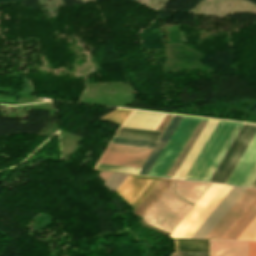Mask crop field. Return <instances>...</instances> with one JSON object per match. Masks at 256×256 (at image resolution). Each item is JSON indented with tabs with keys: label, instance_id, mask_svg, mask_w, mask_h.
Wrapping results in <instances>:
<instances>
[{
	"label": "crop field",
	"instance_id": "8a807250",
	"mask_svg": "<svg viewBox=\"0 0 256 256\" xmlns=\"http://www.w3.org/2000/svg\"><path fill=\"white\" fill-rule=\"evenodd\" d=\"M210 185L174 180L142 219L170 233Z\"/></svg>",
	"mask_w": 256,
	"mask_h": 256
},
{
	"label": "crop field",
	"instance_id": "ac0d7876",
	"mask_svg": "<svg viewBox=\"0 0 256 256\" xmlns=\"http://www.w3.org/2000/svg\"><path fill=\"white\" fill-rule=\"evenodd\" d=\"M200 120H205V119L183 117L180 124L176 128L175 132L171 136L170 140L166 144L165 148L161 152L160 156L156 160L155 164L151 168L148 175L169 177V176H165L166 173L168 172L169 168L175 161L176 157L182 150L183 146L189 139L190 135L192 134V132L194 131V129L196 128ZM206 123L207 121H200L197 128L191 135L190 139L184 146L183 150L177 157L176 161L170 168L167 175L174 176L175 172L179 168L180 164L184 160L185 156L189 152L190 148L194 144L195 140L199 136L200 132L202 131ZM169 178H172V177H169Z\"/></svg>",
	"mask_w": 256,
	"mask_h": 256
},
{
	"label": "crop field",
	"instance_id": "34b2d1b8",
	"mask_svg": "<svg viewBox=\"0 0 256 256\" xmlns=\"http://www.w3.org/2000/svg\"><path fill=\"white\" fill-rule=\"evenodd\" d=\"M241 126L219 121L185 179L207 182Z\"/></svg>",
	"mask_w": 256,
	"mask_h": 256
},
{
	"label": "crop field",
	"instance_id": "412701ff",
	"mask_svg": "<svg viewBox=\"0 0 256 256\" xmlns=\"http://www.w3.org/2000/svg\"><path fill=\"white\" fill-rule=\"evenodd\" d=\"M231 188L212 184L169 237L190 238Z\"/></svg>",
	"mask_w": 256,
	"mask_h": 256
},
{
	"label": "crop field",
	"instance_id": "f4fd0767",
	"mask_svg": "<svg viewBox=\"0 0 256 256\" xmlns=\"http://www.w3.org/2000/svg\"><path fill=\"white\" fill-rule=\"evenodd\" d=\"M151 149L108 144L98 163L141 168Z\"/></svg>",
	"mask_w": 256,
	"mask_h": 256
},
{
	"label": "crop field",
	"instance_id": "dd49c442",
	"mask_svg": "<svg viewBox=\"0 0 256 256\" xmlns=\"http://www.w3.org/2000/svg\"><path fill=\"white\" fill-rule=\"evenodd\" d=\"M160 178L128 175L115 191L136 208Z\"/></svg>",
	"mask_w": 256,
	"mask_h": 256
},
{
	"label": "crop field",
	"instance_id": "e52e79f7",
	"mask_svg": "<svg viewBox=\"0 0 256 256\" xmlns=\"http://www.w3.org/2000/svg\"><path fill=\"white\" fill-rule=\"evenodd\" d=\"M256 197V189L247 188L205 238L221 239Z\"/></svg>",
	"mask_w": 256,
	"mask_h": 256
},
{
	"label": "crop field",
	"instance_id": "d8731c3e",
	"mask_svg": "<svg viewBox=\"0 0 256 256\" xmlns=\"http://www.w3.org/2000/svg\"><path fill=\"white\" fill-rule=\"evenodd\" d=\"M246 188L233 187L191 238H204ZM208 235V234H207Z\"/></svg>",
	"mask_w": 256,
	"mask_h": 256
},
{
	"label": "crop field",
	"instance_id": "5a996713",
	"mask_svg": "<svg viewBox=\"0 0 256 256\" xmlns=\"http://www.w3.org/2000/svg\"><path fill=\"white\" fill-rule=\"evenodd\" d=\"M256 163V135L252 139L245 153L241 157L234 171L230 175L226 184L242 186L245 179ZM225 184V183H224Z\"/></svg>",
	"mask_w": 256,
	"mask_h": 256
},
{
	"label": "crop field",
	"instance_id": "3316defc",
	"mask_svg": "<svg viewBox=\"0 0 256 256\" xmlns=\"http://www.w3.org/2000/svg\"><path fill=\"white\" fill-rule=\"evenodd\" d=\"M217 123L218 121L209 120L206 127L202 131L201 135L197 139L196 143L192 147L191 151L187 155L186 159L182 163L174 178L184 179L185 175L192 166L193 162L195 161L196 157L203 148L204 144L206 143L207 139L209 138Z\"/></svg>",
	"mask_w": 256,
	"mask_h": 256
},
{
	"label": "crop field",
	"instance_id": "28ad6ade",
	"mask_svg": "<svg viewBox=\"0 0 256 256\" xmlns=\"http://www.w3.org/2000/svg\"><path fill=\"white\" fill-rule=\"evenodd\" d=\"M210 256H247V241L211 240Z\"/></svg>",
	"mask_w": 256,
	"mask_h": 256
},
{
	"label": "crop field",
	"instance_id": "d1516ede",
	"mask_svg": "<svg viewBox=\"0 0 256 256\" xmlns=\"http://www.w3.org/2000/svg\"><path fill=\"white\" fill-rule=\"evenodd\" d=\"M164 115L132 111L121 126L154 130Z\"/></svg>",
	"mask_w": 256,
	"mask_h": 256
},
{
	"label": "crop field",
	"instance_id": "22f410ed",
	"mask_svg": "<svg viewBox=\"0 0 256 256\" xmlns=\"http://www.w3.org/2000/svg\"><path fill=\"white\" fill-rule=\"evenodd\" d=\"M181 118L182 117L174 116L171 123L169 124V126L165 130L164 134L162 135V137L158 141L157 145L155 146V148L153 149V151L149 155L148 159L146 160V162L144 163V165L142 166V168H141V170L139 171L138 174L147 175L148 171L150 170L153 163L157 159L158 155L162 151L163 147L165 146L166 142L170 138L171 134L175 130L178 123L180 122Z\"/></svg>",
	"mask_w": 256,
	"mask_h": 256
},
{
	"label": "crop field",
	"instance_id": "cbeb9de0",
	"mask_svg": "<svg viewBox=\"0 0 256 256\" xmlns=\"http://www.w3.org/2000/svg\"><path fill=\"white\" fill-rule=\"evenodd\" d=\"M244 212V211H243ZM256 215V198L222 239H236Z\"/></svg>",
	"mask_w": 256,
	"mask_h": 256
},
{
	"label": "crop field",
	"instance_id": "5142ce71",
	"mask_svg": "<svg viewBox=\"0 0 256 256\" xmlns=\"http://www.w3.org/2000/svg\"><path fill=\"white\" fill-rule=\"evenodd\" d=\"M173 180L161 178L160 181L155 185L147 197L142 201L134 213L143 215L149 210V208L155 203L160 195L166 190ZM142 216V217H143Z\"/></svg>",
	"mask_w": 256,
	"mask_h": 256
},
{
	"label": "crop field",
	"instance_id": "d9b57169",
	"mask_svg": "<svg viewBox=\"0 0 256 256\" xmlns=\"http://www.w3.org/2000/svg\"><path fill=\"white\" fill-rule=\"evenodd\" d=\"M175 251L208 252L209 240H174Z\"/></svg>",
	"mask_w": 256,
	"mask_h": 256
},
{
	"label": "crop field",
	"instance_id": "733c2abd",
	"mask_svg": "<svg viewBox=\"0 0 256 256\" xmlns=\"http://www.w3.org/2000/svg\"><path fill=\"white\" fill-rule=\"evenodd\" d=\"M110 143L139 146V147H148V148H153V146L156 144V142L154 141H146V140L124 138V137H117V136H113Z\"/></svg>",
	"mask_w": 256,
	"mask_h": 256
},
{
	"label": "crop field",
	"instance_id": "4a817a6b",
	"mask_svg": "<svg viewBox=\"0 0 256 256\" xmlns=\"http://www.w3.org/2000/svg\"><path fill=\"white\" fill-rule=\"evenodd\" d=\"M127 175L112 173L111 176L103 184L110 192L115 191Z\"/></svg>",
	"mask_w": 256,
	"mask_h": 256
},
{
	"label": "crop field",
	"instance_id": "bc2a9ffb",
	"mask_svg": "<svg viewBox=\"0 0 256 256\" xmlns=\"http://www.w3.org/2000/svg\"><path fill=\"white\" fill-rule=\"evenodd\" d=\"M129 112V110L118 109L100 119L121 124Z\"/></svg>",
	"mask_w": 256,
	"mask_h": 256
},
{
	"label": "crop field",
	"instance_id": "214f88e0",
	"mask_svg": "<svg viewBox=\"0 0 256 256\" xmlns=\"http://www.w3.org/2000/svg\"><path fill=\"white\" fill-rule=\"evenodd\" d=\"M237 239L243 240H256V217L245 228V230L239 235Z\"/></svg>",
	"mask_w": 256,
	"mask_h": 256
},
{
	"label": "crop field",
	"instance_id": "92a150f3",
	"mask_svg": "<svg viewBox=\"0 0 256 256\" xmlns=\"http://www.w3.org/2000/svg\"><path fill=\"white\" fill-rule=\"evenodd\" d=\"M94 169L121 171V172L133 173V174H136L139 170L136 168L118 167V166L101 165V164H96Z\"/></svg>",
	"mask_w": 256,
	"mask_h": 256
},
{
	"label": "crop field",
	"instance_id": "dafd665d",
	"mask_svg": "<svg viewBox=\"0 0 256 256\" xmlns=\"http://www.w3.org/2000/svg\"><path fill=\"white\" fill-rule=\"evenodd\" d=\"M255 178H256V165L253 168V170L251 171V173L248 176V178L246 179V181L243 184V186L250 187L252 185V183L254 182Z\"/></svg>",
	"mask_w": 256,
	"mask_h": 256
},
{
	"label": "crop field",
	"instance_id": "00972430",
	"mask_svg": "<svg viewBox=\"0 0 256 256\" xmlns=\"http://www.w3.org/2000/svg\"><path fill=\"white\" fill-rule=\"evenodd\" d=\"M172 256H208V253L175 252Z\"/></svg>",
	"mask_w": 256,
	"mask_h": 256
},
{
	"label": "crop field",
	"instance_id": "a9b5d70f",
	"mask_svg": "<svg viewBox=\"0 0 256 256\" xmlns=\"http://www.w3.org/2000/svg\"><path fill=\"white\" fill-rule=\"evenodd\" d=\"M171 116L172 115H165V117L162 119V121L159 123V125L156 127L155 130L163 131L168 121L170 120Z\"/></svg>",
	"mask_w": 256,
	"mask_h": 256
},
{
	"label": "crop field",
	"instance_id": "4177f3b9",
	"mask_svg": "<svg viewBox=\"0 0 256 256\" xmlns=\"http://www.w3.org/2000/svg\"><path fill=\"white\" fill-rule=\"evenodd\" d=\"M248 256H256V242L248 241Z\"/></svg>",
	"mask_w": 256,
	"mask_h": 256
},
{
	"label": "crop field",
	"instance_id": "730fd06b",
	"mask_svg": "<svg viewBox=\"0 0 256 256\" xmlns=\"http://www.w3.org/2000/svg\"><path fill=\"white\" fill-rule=\"evenodd\" d=\"M250 187H251V186H250ZM252 187H256V180H255V182L253 183Z\"/></svg>",
	"mask_w": 256,
	"mask_h": 256
}]
</instances>
